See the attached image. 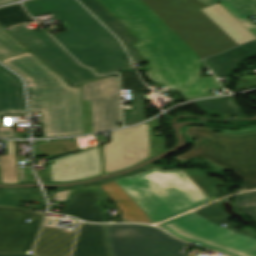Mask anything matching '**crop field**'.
<instances>
[{
  "label": "crop field",
  "mask_w": 256,
  "mask_h": 256,
  "mask_svg": "<svg viewBox=\"0 0 256 256\" xmlns=\"http://www.w3.org/2000/svg\"><path fill=\"white\" fill-rule=\"evenodd\" d=\"M56 219L47 218L37 242L35 253L39 256H69L75 237L73 231L59 230L53 226Z\"/></svg>",
  "instance_id": "5142ce71"
},
{
  "label": "crop field",
  "mask_w": 256,
  "mask_h": 256,
  "mask_svg": "<svg viewBox=\"0 0 256 256\" xmlns=\"http://www.w3.org/2000/svg\"><path fill=\"white\" fill-rule=\"evenodd\" d=\"M122 89H130L131 93H140L149 90L145 86L135 71H128L121 74Z\"/></svg>",
  "instance_id": "eef30255"
},
{
  "label": "crop field",
  "mask_w": 256,
  "mask_h": 256,
  "mask_svg": "<svg viewBox=\"0 0 256 256\" xmlns=\"http://www.w3.org/2000/svg\"><path fill=\"white\" fill-rule=\"evenodd\" d=\"M227 224L222 227L220 225ZM173 235L194 243H200L231 256H256V237L250 229L227 220L215 206L190 212L176 219L159 224Z\"/></svg>",
  "instance_id": "e52e79f7"
},
{
  "label": "crop field",
  "mask_w": 256,
  "mask_h": 256,
  "mask_svg": "<svg viewBox=\"0 0 256 256\" xmlns=\"http://www.w3.org/2000/svg\"><path fill=\"white\" fill-rule=\"evenodd\" d=\"M10 33L75 86L109 76H96L92 70L80 66L46 32L39 33L35 29H28L23 24Z\"/></svg>",
  "instance_id": "5a996713"
},
{
  "label": "crop field",
  "mask_w": 256,
  "mask_h": 256,
  "mask_svg": "<svg viewBox=\"0 0 256 256\" xmlns=\"http://www.w3.org/2000/svg\"><path fill=\"white\" fill-rule=\"evenodd\" d=\"M106 173L123 169L150 156L148 123L111 132V143L103 146Z\"/></svg>",
  "instance_id": "28ad6ade"
},
{
  "label": "crop field",
  "mask_w": 256,
  "mask_h": 256,
  "mask_svg": "<svg viewBox=\"0 0 256 256\" xmlns=\"http://www.w3.org/2000/svg\"><path fill=\"white\" fill-rule=\"evenodd\" d=\"M197 186L211 199L217 198L215 195V187L222 183L217 178H212L204 175L200 169L183 170Z\"/></svg>",
  "instance_id": "a9b5d70f"
},
{
  "label": "crop field",
  "mask_w": 256,
  "mask_h": 256,
  "mask_svg": "<svg viewBox=\"0 0 256 256\" xmlns=\"http://www.w3.org/2000/svg\"><path fill=\"white\" fill-rule=\"evenodd\" d=\"M131 100H133L134 111L125 113L126 126L144 120L142 93L141 94H131Z\"/></svg>",
  "instance_id": "ae1a2a85"
},
{
  "label": "crop field",
  "mask_w": 256,
  "mask_h": 256,
  "mask_svg": "<svg viewBox=\"0 0 256 256\" xmlns=\"http://www.w3.org/2000/svg\"><path fill=\"white\" fill-rule=\"evenodd\" d=\"M100 186L120 208L123 222L153 223L125 194L126 192H123V190L115 183V181L101 184Z\"/></svg>",
  "instance_id": "214f88e0"
},
{
  "label": "crop field",
  "mask_w": 256,
  "mask_h": 256,
  "mask_svg": "<svg viewBox=\"0 0 256 256\" xmlns=\"http://www.w3.org/2000/svg\"><path fill=\"white\" fill-rule=\"evenodd\" d=\"M45 214L0 207V253H31ZM27 218L32 219L27 223Z\"/></svg>",
  "instance_id": "3316defc"
},
{
  "label": "crop field",
  "mask_w": 256,
  "mask_h": 256,
  "mask_svg": "<svg viewBox=\"0 0 256 256\" xmlns=\"http://www.w3.org/2000/svg\"><path fill=\"white\" fill-rule=\"evenodd\" d=\"M138 38L135 44L151 70L146 75L176 89L185 98L209 96L207 90L221 88L214 76L201 78L202 62L197 54L140 0H99Z\"/></svg>",
  "instance_id": "8a807250"
},
{
  "label": "crop field",
  "mask_w": 256,
  "mask_h": 256,
  "mask_svg": "<svg viewBox=\"0 0 256 256\" xmlns=\"http://www.w3.org/2000/svg\"><path fill=\"white\" fill-rule=\"evenodd\" d=\"M0 62L25 78L30 111L41 112L44 137L84 134L81 86H69L30 51Z\"/></svg>",
  "instance_id": "412701ff"
},
{
  "label": "crop field",
  "mask_w": 256,
  "mask_h": 256,
  "mask_svg": "<svg viewBox=\"0 0 256 256\" xmlns=\"http://www.w3.org/2000/svg\"><path fill=\"white\" fill-rule=\"evenodd\" d=\"M51 182L73 181L105 173L102 146L48 162Z\"/></svg>",
  "instance_id": "22f410ed"
},
{
  "label": "crop field",
  "mask_w": 256,
  "mask_h": 256,
  "mask_svg": "<svg viewBox=\"0 0 256 256\" xmlns=\"http://www.w3.org/2000/svg\"><path fill=\"white\" fill-rule=\"evenodd\" d=\"M0 256H33L31 254H0Z\"/></svg>",
  "instance_id": "1d83c4d3"
},
{
  "label": "crop field",
  "mask_w": 256,
  "mask_h": 256,
  "mask_svg": "<svg viewBox=\"0 0 256 256\" xmlns=\"http://www.w3.org/2000/svg\"><path fill=\"white\" fill-rule=\"evenodd\" d=\"M1 183L19 182L14 153V142H7V156H0Z\"/></svg>",
  "instance_id": "00972430"
},
{
  "label": "crop field",
  "mask_w": 256,
  "mask_h": 256,
  "mask_svg": "<svg viewBox=\"0 0 256 256\" xmlns=\"http://www.w3.org/2000/svg\"><path fill=\"white\" fill-rule=\"evenodd\" d=\"M70 192H71V190L56 193L53 200L65 201V200H67L68 195L70 194Z\"/></svg>",
  "instance_id": "bd1437ed"
},
{
  "label": "crop field",
  "mask_w": 256,
  "mask_h": 256,
  "mask_svg": "<svg viewBox=\"0 0 256 256\" xmlns=\"http://www.w3.org/2000/svg\"><path fill=\"white\" fill-rule=\"evenodd\" d=\"M115 181L154 223L210 200L182 170L154 168Z\"/></svg>",
  "instance_id": "f4fd0767"
},
{
  "label": "crop field",
  "mask_w": 256,
  "mask_h": 256,
  "mask_svg": "<svg viewBox=\"0 0 256 256\" xmlns=\"http://www.w3.org/2000/svg\"><path fill=\"white\" fill-rule=\"evenodd\" d=\"M32 198V193L1 194L0 206L18 207L21 201H31Z\"/></svg>",
  "instance_id": "750c4746"
},
{
  "label": "crop field",
  "mask_w": 256,
  "mask_h": 256,
  "mask_svg": "<svg viewBox=\"0 0 256 256\" xmlns=\"http://www.w3.org/2000/svg\"><path fill=\"white\" fill-rule=\"evenodd\" d=\"M97 200L96 193H77L70 199L63 214L72 215L84 221L103 222L105 221L103 213L99 208L94 207Z\"/></svg>",
  "instance_id": "bc2a9ffb"
},
{
  "label": "crop field",
  "mask_w": 256,
  "mask_h": 256,
  "mask_svg": "<svg viewBox=\"0 0 256 256\" xmlns=\"http://www.w3.org/2000/svg\"><path fill=\"white\" fill-rule=\"evenodd\" d=\"M201 58L255 37L219 3L197 0H142Z\"/></svg>",
  "instance_id": "34b2d1b8"
},
{
  "label": "crop field",
  "mask_w": 256,
  "mask_h": 256,
  "mask_svg": "<svg viewBox=\"0 0 256 256\" xmlns=\"http://www.w3.org/2000/svg\"><path fill=\"white\" fill-rule=\"evenodd\" d=\"M73 256H109L103 225L81 224Z\"/></svg>",
  "instance_id": "d9b57169"
},
{
  "label": "crop field",
  "mask_w": 256,
  "mask_h": 256,
  "mask_svg": "<svg viewBox=\"0 0 256 256\" xmlns=\"http://www.w3.org/2000/svg\"><path fill=\"white\" fill-rule=\"evenodd\" d=\"M111 256H186L187 244L146 225H106Z\"/></svg>",
  "instance_id": "d8731c3e"
},
{
  "label": "crop field",
  "mask_w": 256,
  "mask_h": 256,
  "mask_svg": "<svg viewBox=\"0 0 256 256\" xmlns=\"http://www.w3.org/2000/svg\"><path fill=\"white\" fill-rule=\"evenodd\" d=\"M82 100H91L93 132L115 128L121 122L118 78L82 85Z\"/></svg>",
  "instance_id": "d1516ede"
},
{
  "label": "crop field",
  "mask_w": 256,
  "mask_h": 256,
  "mask_svg": "<svg viewBox=\"0 0 256 256\" xmlns=\"http://www.w3.org/2000/svg\"><path fill=\"white\" fill-rule=\"evenodd\" d=\"M31 19L22 11L20 5H14L0 9V25L11 26Z\"/></svg>",
  "instance_id": "4177f3b9"
},
{
  "label": "crop field",
  "mask_w": 256,
  "mask_h": 256,
  "mask_svg": "<svg viewBox=\"0 0 256 256\" xmlns=\"http://www.w3.org/2000/svg\"><path fill=\"white\" fill-rule=\"evenodd\" d=\"M25 113L21 80L0 66V137L16 138L14 127H3L1 114Z\"/></svg>",
  "instance_id": "cbeb9de0"
},
{
  "label": "crop field",
  "mask_w": 256,
  "mask_h": 256,
  "mask_svg": "<svg viewBox=\"0 0 256 256\" xmlns=\"http://www.w3.org/2000/svg\"><path fill=\"white\" fill-rule=\"evenodd\" d=\"M196 105L199 106L205 112H209L216 115H244L241 108L232 98H223L197 102Z\"/></svg>",
  "instance_id": "dafd665d"
},
{
  "label": "crop field",
  "mask_w": 256,
  "mask_h": 256,
  "mask_svg": "<svg viewBox=\"0 0 256 256\" xmlns=\"http://www.w3.org/2000/svg\"><path fill=\"white\" fill-rule=\"evenodd\" d=\"M10 36L0 28V59L28 51Z\"/></svg>",
  "instance_id": "730fd06b"
},
{
  "label": "crop field",
  "mask_w": 256,
  "mask_h": 256,
  "mask_svg": "<svg viewBox=\"0 0 256 256\" xmlns=\"http://www.w3.org/2000/svg\"><path fill=\"white\" fill-rule=\"evenodd\" d=\"M256 55V41L249 42L226 53L210 57L206 64L216 75V77L231 75L232 70L241 61Z\"/></svg>",
  "instance_id": "733c2abd"
},
{
  "label": "crop field",
  "mask_w": 256,
  "mask_h": 256,
  "mask_svg": "<svg viewBox=\"0 0 256 256\" xmlns=\"http://www.w3.org/2000/svg\"><path fill=\"white\" fill-rule=\"evenodd\" d=\"M8 1H12V0H0V3H4V2H8Z\"/></svg>",
  "instance_id": "120bbe31"
},
{
  "label": "crop field",
  "mask_w": 256,
  "mask_h": 256,
  "mask_svg": "<svg viewBox=\"0 0 256 256\" xmlns=\"http://www.w3.org/2000/svg\"><path fill=\"white\" fill-rule=\"evenodd\" d=\"M24 6L33 16L52 13L60 19L67 30L52 36L96 73L133 68L117 38L76 0H33Z\"/></svg>",
  "instance_id": "ac0d7876"
},
{
  "label": "crop field",
  "mask_w": 256,
  "mask_h": 256,
  "mask_svg": "<svg viewBox=\"0 0 256 256\" xmlns=\"http://www.w3.org/2000/svg\"><path fill=\"white\" fill-rule=\"evenodd\" d=\"M79 1L122 40L135 64L145 61L144 59L139 58L131 45L136 38L126 28H124L102 5H100L96 0Z\"/></svg>",
  "instance_id": "4a817a6b"
},
{
  "label": "crop field",
  "mask_w": 256,
  "mask_h": 256,
  "mask_svg": "<svg viewBox=\"0 0 256 256\" xmlns=\"http://www.w3.org/2000/svg\"><path fill=\"white\" fill-rule=\"evenodd\" d=\"M183 130L194 147L186 154L174 159L183 164L205 162L215 167L213 171L226 168L235 170L243 179V184L242 189L232 193L256 189V128L223 130L187 126ZM212 130H219L221 133L215 134ZM194 138L198 140L193 141ZM200 158L203 160L200 161Z\"/></svg>",
  "instance_id": "dd49c442"
},
{
  "label": "crop field",
  "mask_w": 256,
  "mask_h": 256,
  "mask_svg": "<svg viewBox=\"0 0 256 256\" xmlns=\"http://www.w3.org/2000/svg\"><path fill=\"white\" fill-rule=\"evenodd\" d=\"M235 203L246 213L256 217V193L241 195L235 198Z\"/></svg>",
  "instance_id": "d3111659"
},
{
  "label": "crop field",
  "mask_w": 256,
  "mask_h": 256,
  "mask_svg": "<svg viewBox=\"0 0 256 256\" xmlns=\"http://www.w3.org/2000/svg\"><path fill=\"white\" fill-rule=\"evenodd\" d=\"M211 6L221 3L238 21H240L255 37L256 25L248 18L256 15V0H199Z\"/></svg>",
  "instance_id": "92a150f3"
}]
</instances>
